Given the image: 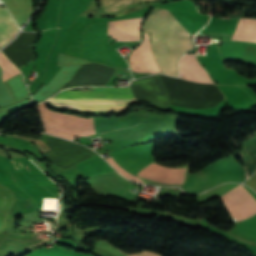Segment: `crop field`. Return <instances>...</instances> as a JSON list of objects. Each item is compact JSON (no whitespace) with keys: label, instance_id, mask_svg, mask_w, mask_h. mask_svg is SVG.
<instances>
[{"label":"crop field","instance_id":"28ad6ade","mask_svg":"<svg viewBox=\"0 0 256 256\" xmlns=\"http://www.w3.org/2000/svg\"><path fill=\"white\" fill-rule=\"evenodd\" d=\"M75 166L88 177L114 171L98 155Z\"/></svg>","mask_w":256,"mask_h":256},{"label":"crop field","instance_id":"e52e79f7","mask_svg":"<svg viewBox=\"0 0 256 256\" xmlns=\"http://www.w3.org/2000/svg\"><path fill=\"white\" fill-rule=\"evenodd\" d=\"M143 35L144 41L130 54V66L135 72L159 73L161 70L150 49L151 35L150 33H143Z\"/></svg>","mask_w":256,"mask_h":256},{"label":"crop field","instance_id":"cbeb9de0","mask_svg":"<svg viewBox=\"0 0 256 256\" xmlns=\"http://www.w3.org/2000/svg\"><path fill=\"white\" fill-rule=\"evenodd\" d=\"M95 245L97 246V247H101V248H104V249H106V250H108V251H110V252H112V253H114V254H116V255H118V256H146V255H148V256H159V255H157V254H154V253H152V252H143L144 254H146V255H144L143 253H138V254H133V255H128V254H123L122 252H120V251H118V250H116L115 248H113L108 242H106V241H96V243H95Z\"/></svg>","mask_w":256,"mask_h":256},{"label":"crop field","instance_id":"d8731c3e","mask_svg":"<svg viewBox=\"0 0 256 256\" xmlns=\"http://www.w3.org/2000/svg\"><path fill=\"white\" fill-rule=\"evenodd\" d=\"M141 21L142 18L109 22L108 35L122 44L139 42Z\"/></svg>","mask_w":256,"mask_h":256},{"label":"crop field","instance_id":"412701ff","mask_svg":"<svg viewBox=\"0 0 256 256\" xmlns=\"http://www.w3.org/2000/svg\"><path fill=\"white\" fill-rule=\"evenodd\" d=\"M106 160L125 177L141 183H143V180L145 184L150 185L182 186L187 176V166L173 169L163 167L154 162L139 172L138 175L142 179L141 180L139 178L131 176L129 173L120 168L112 157L107 158Z\"/></svg>","mask_w":256,"mask_h":256},{"label":"crop field","instance_id":"5a996713","mask_svg":"<svg viewBox=\"0 0 256 256\" xmlns=\"http://www.w3.org/2000/svg\"><path fill=\"white\" fill-rule=\"evenodd\" d=\"M196 54H185L179 63L180 78L197 82L213 83L206 71L200 66L195 58Z\"/></svg>","mask_w":256,"mask_h":256},{"label":"crop field","instance_id":"f4fd0767","mask_svg":"<svg viewBox=\"0 0 256 256\" xmlns=\"http://www.w3.org/2000/svg\"><path fill=\"white\" fill-rule=\"evenodd\" d=\"M86 184L94 187L99 193L114 195L120 198L133 199L136 194L130 193L136 186L123 180L115 173L103 174L95 177L88 178ZM134 188L133 190H130ZM140 187H137L139 189ZM130 190V192H128Z\"/></svg>","mask_w":256,"mask_h":256},{"label":"crop field","instance_id":"8a807250","mask_svg":"<svg viewBox=\"0 0 256 256\" xmlns=\"http://www.w3.org/2000/svg\"><path fill=\"white\" fill-rule=\"evenodd\" d=\"M168 13L167 10L155 8L153 12L148 14L142 26V32H152L151 46L156 62L162 70L160 73L177 77V61L179 57L193 48L194 45L190 39L191 35ZM164 19L165 22L163 24ZM162 24L164 51L170 74L163 51Z\"/></svg>","mask_w":256,"mask_h":256},{"label":"crop field","instance_id":"34b2d1b8","mask_svg":"<svg viewBox=\"0 0 256 256\" xmlns=\"http://www.w3.org/2000/svg\"><path fill=\"white\" fill-rule=\"evenodd\" d=\"M45 105L46 103L44 102L37 106L45 132L69 140L77 136L95 133L92 119H82L76 116L54 113L49 111Z\"/></svg>","mask_w":256,"mask_h":256},{"label":"crop field","instance_id":"22f410ed","mask_svg":"<svg viewBox=\"0 0 256 256\" xmlns=\"http://www.w3.org/2000/svg\"><path fill=\"white\" fill-rule=\"evenodd\" d=\"M0 67L2 68L3 74L2 78L5 82L9 78L21 73L19 70H17L0 52Z\"/></svg>","mask_w":256,"mask_h":256},{"label":"crop field","instance_id":"d1516ede","mask_svg":"<svg viewBox=\"0 0 256 256\" xmlns=\"http://www.w3.org/2000/svg\"><path fill=\"white\" fill-rule=\"evenodd\" d=\"M233 39L256 42V19L241 18Z\"/></svg>","mask_w":256,"mask_h":256},{"label":"crop field","instance_id":"dd49c442","mask_svg":"<svg viewBox=\"0 0 256 256\" xmlns=\"http://www.w3.org/2000/svg\"><path fill=\"white\" fill-rule=\"evenodd\" d=\"M221 197L237 222L256 213V201L240 185Z\"/></svg>","mask_w":256,"mask_h":256},{"label":"crop field","instance_id":"ac0d7876","mask_svg":"<svg viewBox=\"0 0 256 256\" xmlns=\"http://www.w3.org/2000/svg\"><path fill=\"white\" fill-rule=\"evenodd\" d=\"M53 98H135L131 88L93 87L78 91H62ZM56 106L95 111H127L135 99H49Z\"/></svg>","mask_w":256,"mask_h":256},{"label":"crop field","instance_id":"3316defc","mask_svg":"<svg viewBox=\"0 0 256 256\" xmlns=\"http://www.w3.org/2000/svg\"><path fill=\"white\" fill-rule=\"evenodd\" d=\"M18 30L6 7H0V46L9 42Z\"/></svg>","mask_w":256,"mask_h":256}]
</instances>
